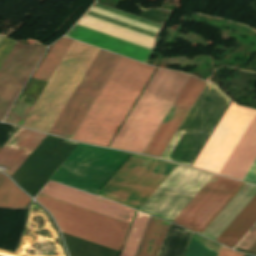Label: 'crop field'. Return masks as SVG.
Returning <instances> with one entry per match:
<instances>
[{
    "instance_id": "730fd06b",
    "label": "crop field",
    "mask_w": 256,
    "mask_h": 256,
    "mask_svg": "<svg viewBox=\"0 0 256 256\" xmlns=\"http://www.w3.org/2000/svg\"><path fill=\"white\" fill-rule=\"evenodd\" d=\"M17 129L18 127L0 123V145H3Z\"/></svg>"
},
{
    "instance_id": "28ad6ade",
    "label": "crop field",
    "mask_w": 256,
    "mask_h": 256,
    "mask_svg": "<svg viewBox=\"0 0 256 256\" xmlns=\"http://www.w3.org/2000/svg\"><path fill=\"white\" fill-rule=\"evenodd\" d=\"M46 47L33 43H16L0 68V121L4 118L15 98L33 72Z\"/></svg>"
},
{
    "instance_id": "d1516ede",
    "label": "crop field",
    "mask_w": 256,
    "mask_h": 256,
    "mask_svg": "<svg viewBox=\"0 0 256 256\" xmlns=\"http://www.w3.org/2000/svg\"><path fill=\"white\" fill-rule=\"evenodd\" d=\"M240 184L214 175L173 223L198 233Z\"/></svg>"
},
{
    "instance_id": "bc2a9ffb",
    "label": "crop field",
    "mask_w": 256,
    "mask_h": 256,
    "mask_svg": "<svg viewBox=\"0 0 256 256\" xmlns=\"http://www.w3.org/2000/svg\"><path fill=\"white\" fill-rule=\"evenodd\" d=\"M190 233L170 223L157 256H182Z\"/></svg>"
},
{
    "instance_id": "d8731c3e",
    "label": "crop field",
    "mask_w": 256,
    "mask_h": 256,
    "mask_svg": "<svg viewBox=\"0 0 256 256\" xmlns=\"http://www.w3.org/2000/svg\"><path fill=\"white\" fill-rule=\"evenodd\" d=\"M120 56L100 50L75 92L49 131L71 138Z\"/></svg>"
},
{
    "instance_id": "4a817a6b",
    "label": "crop field",
    "mask_w": 256,
    "mask_h": 256,
    "mask_svg": "<svg viewBox=\"0 0 256 256\" xmlns=\"http://www.w3.org/2000/svg\"><path fill=\"white\" fill-rule=\"evenodd\" d=\"M168 224L150 216L135 256H156Z\"/></svg>"
},
{
    "instance_id": "ae1a2a85",
    "label": "crop field",
    "mask_w": 256,
    "mask_h": 256,
    "mask_svg": "<svg viewBox=\"0 0 256 256\" xmlns=\"http://www.w3.org/2000/svg\"><path fill=\"white\" fill-rule=\"evenodd\" d=\"M244 180H248V181L256 183V160H255L254 164L252 165V167L250 168L247 175L245 176Z\"/></svg>"
},
{
    "instance_id": "d3111659",
    "label": "crop field",
    "mask_w": 256,
    "mask_h": 256,
    "mask_svg": "<svg viewBox=\"0 0 256 256\" xmlns=\"http://www.w3.org/2000/svg\"><path fill=\"white\" fill-rule=\"evenodd\" d=\"M244 185L242 183L239 188L232 194V196L224 203V205L217 211V213L209 220V222L202 228V230L199 232L201 234L204 229L211 223V221L219 214V212L226 206V204L234 197V195L241 189V187Z\"/></svg>"
},
{
    "instance_id": "1d83c4d3",
    "label": "crop field",
    "mask_w": 256,
    "mask_h": 256,
    "mask_svg": "<svg viewBox=\"0 0 256 256\" xmlns=\"http://www.w3.org/2000/svg\"><path fill=\"white\" fill-rule=\"evenodd\" d=\"M2 147H0V149H1Z\"/></svg>"
},
{
    "instance_id": "dafd665d",
    "label": "crop field",
    "mask_w": 256,
    "mask_h": 256,
    "mask_svg": "<svg viewBox=\"0 0 256 256\" xmlns=\"http://www.w3.org/2000/svg\"><path fill=\"white\" fill-rule=\"evenodd\" d=\"M148 217V215L137 213L121 256H134Z\"/></svg>"
},
{
    "instance_id": "22f410ed",
    "label": "crop field",
    "mask_w": 256,
    "mask_h": 256,
    "mask_svg": "<svg viewBox=\"0 0 256 256\" xmlns=\"http://www.w3.org/2000/svg\"><path fill=\"white\" fill-rule=\"evenodd\" d=\"M206 82L190 76L164 121L143 151L144 154L161 157Z\"/></svg>"
},
{
    "instance_id": "e52e79f7",
    "label": "crop field",
    "mask_w": 256,
    "mask_h": 256,
    "mask_svg": "<svg viewBox=\"0 0 256 256\" xmlns=\"http://www.w3.org/2000/svg\"><path fill=\"white\" fill-rule=\"evenodd\" d=\"M161 161L163 160L133 154L102 189L108 192L105 198L139 210L177 166L163 161L172 165L167 173L163 175L153 171Z\"/></svg>"
},
{
    "instance_id": "4177f3b9",
    "label": "crop field",
    "mask_w": 256,
    "mask_h": 256,
    "mask_svg": "<svg viewBox=\"0 0 256 256\" xmlns=\"http://www.w3.org/2000/svg\"><path fill=\"white\" fill-rule=\"evenodd\" d=\"M15 43L16 42L9 40L5 37L2 40V42L0 44V67L3 64V62L5 61L6 57L10 53V51L12 50Z\"/></svg>"
},
{
    "instance_id": "f4fd0767",
    "label": "crop field",
    "mask_w": 256,
    "mask_h": 256,
    "mask_svg": "<svg viewBox=\"0 0 256 256\" xmlns=\"http://www.w3.org/2000/svg\"><path fill=\"white\" fill-rule=\"evenodd\" d=\"M229 101L207 83L162 158L190 165Z\"/></svg>"
},
{
    "instance_id": "a9b5d70f",
    "label": "crop field",
    "mask_w": 256,
    "mask_h": 256,
    "mask_svg": "<svg viewBox=\"0 0 256 256\" xmlns=\"http://www.w3.org/2000/svg\"><path fill=\"white\" fill-rule=\"evenodd\" d=\"M200 247H201V243L196 239L191 238V241L189 243L185 256H198ZM199 256H217V253L209 250L204 245H202Z\"/></svg>"
},
{
    "instance_id": "00972430",
    "label": "crop field",
    "mask_w": 256,
    "mask_h": 256,
    "mask_svg": "<svg viewBox=\"0 0 256 256\" xmlns=\"http://www.w3.org/2000/svg\"><path fill=\"white\" fill-rule=\"evenodd\" d=\"M31 108H32V105L18 102L13 112L7 119V122L21 125V123L23 122V120L25 119L26 115L28 114Z\"/></svg>"
},
{
    "instance_id": "5a996713",
    "label": "crop field",
    "mask_w": 256,
    "mask_h": 256,
    "mask_svg": "<svg viewBox=\"0 0 256 256\" xmlns=\"http://www.w3.org/2000/svg\"><path fill=\"white\" fill-rule=\"evenodd\" d=\"M212 176L178 165L140 211L172 222Z\"/></svg>"
},
{
    "instance_id": "dd49c442",
    "label": "crop field",
    "mask_w": 256,
    "mask_h": 256,
    "mask_svg": "<svg viewBox=\"0 0 256 256\" xmlns=\"http://www.w3.org/2000/svg\"><path fill=\"white\" fill-rule=\"evenodd\" d=\"M36 199L53 213L61 231L120 250L129 224L40 194Z\"/></svg>"
},
{
    "instance_id": "cbeb9de0",
    "label": "crop field",
    "mask_w": 256,
    "mask_h": 256,
    "mask_svg": "<svg viewBox=\"0 0 256 256\" xmlns=\"http://www.w3.org/2000/svg\"><path fill=\"white\" fill-rule=\"evenodd\" d=\"M40 194L85 208L87 210L131 223L134 210L102 198L72 189L70 187L49 182Z\"/></svg>"
},
{
    "instance_id": "750c4746",
    "label": "crop field",
    "mask_w": 256,
    "mask_h": 256,
    "mask_svg": "<svg viewBox=\"0 0 256 256\" xmlns=\"http://www.w3.org/2000/svg\"><path fill=\"white\" fill-rule=\"evenodd\" d=\"M243 254L234 252L224 246H221L218 256H242Z\"/></svg>"
},
{
    "instance_id": "34b2d1b8",
    "label": "crop field",
    "mask_w": 256,
    "mask_h": 256,
    "mask_svg": "<svg viewBox=\"0 0 256 256\" xmlns=\"http://www.w3.org/2000/svg\"><path fill=\"white\" fill-rule=\"evenodd\" d=\"M188 78L157 69L110 147L142 153Z\"/></svg>"
},
{
    "instance_id": "412701ff",
    "label": "crop field",
    "mask_w": 256,
    "mask_h": 256,
    "mask_svg": "<svg viewBox=\"0 0 256 256\" xmlns=\"http://www.w3.org/2000/svg\"><path fill=\"white\" fill-rule=\"evenodd\" d=\"M98 50L73 41L22 126L48 132Z\"/></svg>"
},
{
    "instance_id": "92a150f3",
    "label": "crop field",
    "mask_w": 256,
    "mask_h": 256,
    "mask_svg": "<svg viewBox=\"0 0 256 256\" xmlns=\"http://www.w3.org/2000/svg\"><path fill=\"white\" fill-rule=\"evenodd\" d=\"M31 199L0 173V206L25 208Z\"/></svg>"
},
{
    "instance_id": "ac0d7876",
    "label": "crop field",
    "mask_w": 256,
    "mask_h": 256,
    "mask_svg": "<svg viewBox=\"0 0 256 256\" xmlns=\"http://www.w3.org/2000/svg\"><path fill=\"white\" fill-rule=\"evenodd\" d=\"M256 110L232 102L193 167L219 174ZM256 159V116L223 167L220 174L243 180Z\"/></svg>"
},
{
    "instance_id": "214f88e0",
    "label": "crop field",
    "mask_w": 256,
    "mask_h": 256,
    "mask_svg": "<svg viewBox=\"0 0 256 256\" xmlns=\"http://www.w3.org/2000/svg\"><path fill=\"white\" fill-rule=\"evenodd\" d=\"M71 43L72 40L66 37H63L54 43L39 69L35 73L34 78L48 81Z\"/></svg>"
},
{
    "instance_id": "3316defc",
    "label": "crop field",
    "mask_w": 256,
    "mask_h": 256,
    "mask_svg": "<svg viewBox=\"0 0 256 256\" xmlns=\"http://www.w3.org/2000/svg\"><path fill=\"white\" fill-rule=\"evenodd\" d=\"M78 23L150 49L163 28V25L96 3Z\"/></svg>"
},
{
    "instance_id": "eef30255",
    "label": "crop field",
    "mask_w": 256,
    "mask_h": 256,
    "mask_svg": "<svg viewBox=\"0 0 256 256\" xmlns=\"http://www.w3.org/2000/svg\"><path fill=\"white\" fill-rule=\"evenodd\" d=\"M255 241H256V227L241 242V244L238 246V248L248 250ZM249 250L256 252V242L252 245V247Z\"/></svg>"
},
{
    "instance_id": "bd1437ed",
    "label": "crop field",
    "mask_w": 256,
    "mask_h": 256,
    "mask_svg": "<svg viewBox=\"0 0 256 256\" xmlns=\"http://www.w3.org/2000/svg\"><path fill=\"white\" fill-rule=\"evenodd\" d=\"M243 256H249V255H245V254H244Z\"/></svg>"
},
{
    "instance_id": "d9b57169",
    "label": "crop field",
    "mask_w": 256,
    "mask_h": 256,
    "mask_svg": "<svg viewBox=\"0 0 256 256\" xmlns=\"http://www.w3.org/2000/svg\"><path fill=\"white\" fill-rule=\"evenodd\" d=\"M45 136L20 128L0 150V165L10 167L6 173L11 175Z\"/></svg>"
},
{
    "instance_id": "733c2abd",
    "label": "crop field",
    "mask_w": 256,
    "mask_h": 256,
    "mask_svg": "<svg viewBox=\"0 0 256 256\" xmlns=\"http://www.w3.org/2000/svg\"><path fill=\"white\" fill-rule=\"evenodd\" d=\"M256 222V195L221 233L216 241L233 248Z\"/></svg>"
},
{
    "instance_id": "5142ce71",
    "label": "crop field",
    "mask_w": 256,
    "mask_h": 256,
    "mask_svg": "<svg viewBox=\"0 0 256 256\" xmlns=\"http://www.w3.org/2000/svg\"><path fill=\"white\" fill-rule=\"evenodd\" d=\"M66 36L107 49L109 51L147 62L152 50L76 24Z\"/></svg>"
},
{
    "instance_id": "8a807250",
    "label": "crop field",
    "mask_w": 256,
    "mask_h": 256,
    "mask_svg": "<svg viewBox=\"0 0 256 256\" xmlns=\"http://www.w3.org/2000/svg\"><path fill=\"white\" fill-rule=\"evenodd\" d=\"M154 70L121 57L72 139L107 146Z\"/></svg>"
}]
</instances>
